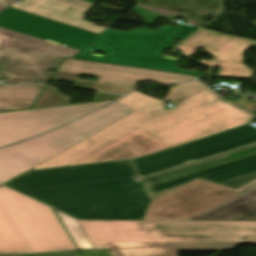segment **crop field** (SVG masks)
<instances>
[{"label": "crop field", "instance_id": "crop-field-7", "mask_svg": "<svg viewBox=\"0 0 256 256\" xmlns=\"http://www.w3.org/2000/svg\"><path fill=\"white\" fill-rule=\"evenodd\" d=\"M143 177L153 199L196 178L236 189L256 179V143Z\"/></svg>", "mask_w": 256, "mask_h": 256}, {"label": "crop field", "instance_id": "crop-field-11", "mask_svg": "<svg viewBox=\"0 0 256 256\" xmlns=\"http://www.w3.org/2000/svg\"><path fill=\"white\" fill-rule=\"evenodd\" d=\"M105 103L107 102L0 113V146L38 135Z\"/></svg>", "mask_w": 256, "mask_h": 256}, {"label": "crop field", "instance_id": "crop-field-20", "mask_svg": "<svg viewBox=\"0 0 256 256\" xmlns=\"http://www.w3.org/2000/svg\"><path fill=\"white\" fill-rule=\"evenodd\" d=\"M205 88L197 82H187L172 87L163 100L176 103L177 101Z\"/></svg>", "mask_w": 256, "mask_h": 256}, {"label": "crop field", "instance_id": "crop-field-23", "mask_svg": "<svg viewBox=\"0 0 256 256\" xmlns=\"http://www.w3.org/2000/svg\"><path fill=\"white\" fill-rule=\"evenodd\" d=\"M235 105L253 113L256 110V100L249 101L247 99H242L234 102Z\"/></svg>", "mask_w": 256, "mask_h": 256}, {"label": "crop field", "instance_id": "crop-field-24", "mask_svg": "<svg viewBox=\"0 0 256 256\" xmlns=\"http://www.w3.org/2000/svg\"><path fill=\"white\" fill-rule=\"evenodd\" d=\"M119 96L120 95H109L105 93L96 92L94 102L103 101V100H113Z\"/></svg>", "mask_w": 256, "mask_h": 256}, {"label": "crop field", "instance_id": "crop-field-25", "mask_svg": "<svg viewBox=\"0 0 256 256\" xmlns=\"http://www.w3.org/2000/svg\"><path fill=\"white\" fill-rule=\"evenodd\" d=\"M239 220H254V221H256V211L239 219Z\"/></svg>", "mask_w": 256, "mask_h": 256}, {"label": "crop field", "instance_id": "crop-field-16", "mask_svg": "<svg viewBox=\"0 0 256 256\" xmlns=\"http://www.w3.org/2000/svg\"><path fill=\"white\" fill-rule=\"evenodd\" d=\"M236 190L244 191L246 193L189 220H236L256 210V180Z\"/></svg>", "mask_w": 256, "mask_h": 256}, {"label": "crop field", "instance_id": "crop-field-19", "mask_svg": "<svg viewBox=\"0 0 256 256\" xmlns=\"http://www.w3.org/2000/svg\"><path fill=\"white\" fill-rule=\"evenodd\" d=\"M72 98L57 91L54 87L47 85L33 108L66 105L71 103Z\"/></svg>", "mask_w": 256, "mask_h": 256}, {"label": "crop field", "instance_id": "crop-field-27", "mask_svg": "<svg viewBox=\"0 0 256 256\" xmlns=\"http://www.w3.org/2000/svg\"><path fill=\"white\" fill-rule=\"evenodd\" d=\"M1 185V184H0Z\"/></svg>", "mask_w": 256, "mask_h": 256}, {"label": "crop field", "instance_id": "crop-field-9", "mask_svg": "<svg viewBox=\"0 0 256 256\" xmlns=\"http://www.w3.org/2000/svg\"><path fill=\"white\" fill-rule=\"evenodd\" d=\"M243 126L203 137L166 150L146 155L133 162L139 176H146L199 158L256 142V129Z\"/></svg>", "mask_w": 256, "mask_h": 256}, {"label": "crop field", "instance_id": "crop-field-13", "mask_svg": "<svg viewBox=\"0 0 256 256\" xmlns=\"http://www.w3.org/2000/svg\"><path fill=\"white\" fill-rule=\"evenodd\" d=\"M62 58L0 50V78L5 84L47 83Z\"/></svg>", "mask_w": 256, "mask_h": 256}, {"label": "crop field", "instance_id": "crop-field-12", "mask_svg": "<svg viewBox=\"0 0 256 256\" xmlns=\"http://www.w3.org/2000/svg\"><path fill=\"white\" fill-rule=\"evenodd\" d=\"M250 46H256V41L202 29L178 46L176 50H180L183 55L191 57L195 53L196 47H202L215 59L212 61L203 60L201 63L219 67L220 71L217 76L251 78V69L242 64L244 59L242 53Z\"/></svg>", "mask_w": 256, "mask_h": 256}, {"label": "crop field", "instance_id": "crop-field-5", "mask_svg": "<svg viewBox=\"0 0 256 256\" xmlns=\"http://www.w3.org/2000/svg\"><path fill=\"white\" fill-rule=\"evenodd\" d=\"M76 250L53 210L0 186V256Z\"/></svg>", "mask_w": 256, "mask_h": 256}, {"label": "crop field", "instance_id": "crop-field-4", "mask_svg": "<svg viewBox=\"0 0 256 256\" xmlns=\"http://www.w3.org/2000/svg\"><path fill=\"white\" fill-rule=\"evenodd\" d=\"M95 249L114 256H177L256 244L253 221H79Z\"/></svg>", "mask_w": 256, "mask_h": 256}, {"label": "crop field", "instance_id": "crop-field-14", "mask_svg": "<svg viewBox=\"0 0 256 256\" xmlns=\"http://www.w3.org/2000/svg\"><path fill=\"white\" fill-rule=\"evenodd\" d=\"M92 6L93 4L82 0H24L19 5L13 3L10 7L100 34L106 28L95 26L83 20Z\"/></svg>", "mask_w": 256, "mask_h": 256}, {"label": "crop field", "instance_id": "crop-field-15", "mask_svg": "<svg viewBox=\"0 0 256 256\" xmlns=\"http://www.w3.org/2000/svg\"><path fill=\"white\" fill-rule=\"evenodd\" d=\"M7 6L0 4V12ZM0 49L71 58L78 50L0 27Z\"/></svg>", "mask_w": 256, "mask_h": 256}, {"label": "crop field", "instance_id": "crop-field-17", "mask_svg": "<svg viewBox=\"0 0 256 256\" xmlns=\"http://www.w3.org/2000/svg\"><path fill=\"white\" fill-rule=\"evenodd\" d=\"M44 85H0V111L29 108Z\"/></svg>", "mask_w": 256, "mask_h": 256}, {"label": "crop field", "instance_id": "crop-field-26", "mask_svg": "<svg viewBox=\"0 0 256 256\" xmlns=\"http://www.w3.org/2000/svg\"><path fill=\"white\" fill-rule=\"evenodd\" d=\"M14 0H0V2L4 3V4H9Z\"/></svg>", "mask_w": 256, "mask_h": 256}, {"label": "crop field", "instance_id": "crop-field-8", "mask_svg": "<svg viewBox=\"0 0 256 256\" xmlns=\"http://www.w3.org/2000/svg\"><path fill=\"white\" fill-rule=\"evenodd\" d=\"M80 74L98 77L95 82L76 79ZM192 78L194 77L73 59H64L52 77L54 80L73 82V87L120 94L127 93L136 87L138 82L153 80L170 83Z\"/></svg>", "mask_w": 256, "mask_h": 256}, {"label": "crop field", "instance_id": "crop-field-6", "mask_svg": "<svg viewBox=\"0 0 256 256\" xmlns=\"http://www.w3.org/2000/svg\"><path fill=\"white\" fill-rule=\"evenodd\" d=\"M133 112L115 102L50 133L0 149V183L11 180Z\"/></svg>", "mask_w": 256, "mask_h": 256}, {"label": "crop field", "instance_id": "crop-field-10", "mask_svg": "<svg viewBox=\"0 0 256 256\" xmlns=\"http://www.w3.org/2000/svg\"><path fill=\"white\" fill-rule=\"evenodd\" d=\"M238 192L196 179L152 200L143 220H187L239 195Z\"/></svg>", "mask_w": 256, "mask_h": 256}, {"label": "crop field", "instance_id": "crop-field-22", "mask_svg": "<svg viewBox=\"0 0 256 256\" xmlns=\"http://www.w3.org/2000/svg\"><path fill=\"white\" fill-rule=\"evenodd\" d=\"M133 9L139 14V16L145 21L146 24L154 25L156 18H164L163 15L150 13L138 6L133 7Z\"/></svg>", "mask_w": 256, "mask_h": 256}, {"label": "crop field", "instance_id": "crop-field-1", "mask_svg": "<svg viewBox=\"0 0 256 256\" xmlns=\"http://www.w3.org/2000/svg\"><path fill=\"white\" fill-rule=\"evenodd\" d=\"M118 102L136 112L33 169L140 157L243 125L252 117L208 89L167 111L163 102L136 91Z\"/></svg>", "mask_w": 256, "mask_h": 256}, {"label": "crop field", "instance_id": "crop-field-3", "mask_svg": "<svg viewBox=\"0 0 256 256\" xmlns=\"http://www.w3.org/2000/svg\"><path fill=\"white\" fill-rule=\"evenodd\" d=\"M0 26L80 50L73 59L200 76L176 68L178 60L165 57L163 50L175 47L172 38L185 39L198 28L168 26L156 33L141 28L122 33L107 29L98 35L38 15L6 8L0 13ZM94 46H90V45ZM169 48V49H170ZM96 50L105 57L92 55Z\"/></svg>", "mask_w": 256, "mask_h": 256}, {"label": "crop field", "instance_id": "crop-field-2", "mask_svg": "<svg viewBox=\"0 0 256 256\" xmlns=\"http://www.w3.org/2000/svg\"><path fill=\"white\" fill-rule=\"evenodd\" d=\"M134 176L124 159L29 171L5 184L79 220H142L152 197Z\"/></svg>", "mask_w": 256, "mask_h": 256}, {"label": "crop field", "instance_id": "crop-field-21", "mask_svg": "<svg viewBox=\"0 0 256 256\" xmlns=\"http://www.w3.org/2000/svg\"><path fill=\"white\" fill-rule=\"evenodd\" d=\"M83 256H111L108 249L94 250L87 252H80ZM20 256H79L75 251L67 252H56V253H44V254H33V255H20Z\"/></svg>", "mask_w": 256, "mask_h": 256}, {"label": "crop field", "instance_id": "crop-field-18", "mask_svg": "<svg viewBox=\"0 0 256 256\" xmlns=\"http://www.w3.org/2000/svg\"><path fill=\"white\" fill-rule=\"evenodd\" d=\"M59 215L61 221L63 222L64 226L66 227L67 231L69 232L71 238L73 239L76 246L79 250H89L93 249L91 244L89 243L88 239L80 229L79 225L75 220L72 218L56 211Z\"/></svg>", "mask_w": 256, "mask_h": 256}]
</instances>
